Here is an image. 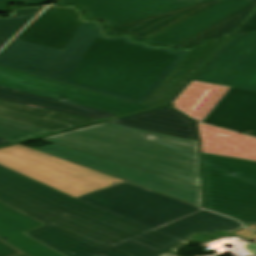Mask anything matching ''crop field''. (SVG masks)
<instances>
[{
    "label": "crop field",
    "instance_id": "obj_5",
    "mask_svg": "<svg viewBox=\"0 0 256 256\" xmlns=\"http://www.w3.org/2000/svg\"><path fill=\"white\" fill-rule=\"evenodd\" d=\"M0 164L74 198L123 182L20 144L0 149Z\"/></svg>",
    "mask_w": 256,
    "mask_h": 256
},
{
    "label": "crop field",
    "instance_id": "obj_15",
    "mask_svg": "<svg viewBox=\"0 0 256 256\" xmlns=\"http://www.w3.org/2000/svg\"><path fill=\"white\" fill-rule=\"evenodd\" d=\"M63 52L13 40L0 52V65L47 78Z\"/></svg>",
    "mask_w": 256,
    "mask_h": 256
},
{
    "label": "crop field",
    "instance_id": "obj_35",
    "mask_svg": "<svg viewBox=\"0 0 256 256\" xmlns=\"http://www.w3.org/2000/svg\"><path fill=\"white\" fill-rule=\"evenodd\" d=\"M244 134H248V135H251V136H255V137H256V133H244Z\"/></svg>",
    "mask_w": 256,
    "mask_h": 256
},
{
    "label": "crop field",
    "instance_id": "obj_1",
    "mask_svg": "<svg viewBox=\"0 0 256 256\" xmlns=\"http://www.w3.org/2000/svg\"><path fill=\"white\" fill-rule=\"evenodd\" d=\"M0 201L47 224L26 234L65 256H89L151 230L1 165ZM185 244L153 230L92 256H172Z\"/></svg>",
    "mask_w": 256,
    "mask_h": 256
},
{
    "label": "crop field",
    "instance_id": "obj_6",
    "mask_svg": "<svg viewBox=\"0 0 256 256\" xmlns=\"http://www.w3.org/2000/svg\"><path fill=\"white\" fill-rule=\"evenodd\" d=\"M77 199L151 229L201 210L128 183Z\"/></svg>",
    "mask_w": 256,
    "mask_h": 256
},
{
    "label": "crop field",
    "instance_id": "obj_11",
    "mask_svg": "<svg viewBox=\"0 0 256 256\" xmlns=\"http://www.w3.org/2000/svg\"><path fill=\"white\" fill-rule=\"evenodd\" d=\"M82 23L73 8L50 6L15 39L65 50Z\"/></svg>",
    "mask_w": 256,
    "mask_h": 256
},
{
    "label": "crop field",
    "instance_id": "obj_4",
    "mask_svg": "<svg viewBox=\"0 0 256 256\" xmlns=\"http://www.w3.org/2000/svg\"><path fill=\"white\" fill-rule=\"evenodd\" d=\"M202 176L206 209L256 225V162L202 153Z\"/></svg>",
    "mask_w": 256,
    "mask_h": 256
},
{
    "label": "crop field",
    "instance_id": "obj_21",
    "mask_svg": "<svg viewBox=\"0 0 256 256\" xmlns=\"http://www.w3.org/2000/svg\"><path fill=\"white\" fill-rule=\"evenodd\" d=\"M228 89L193 81L174 102V106L195 120L202 121Z\"/></svg>",
    "mask_w": 256,
    "mask_h": 256
},
{
    "label": "crop field",
    "instance_id": "obj_36",
    "mask_svg": "<svg viewBox=\"0 0 256 256\" xmlns=\"http://www.w3.org/2000/svg\"><path fill=\"white\" fill-rule=\"evenodd\" d=\"M248 227H249V226H248ZM249 228H251V229H253V230L256 231V226H251V227H249Z\"/></svg>",
    "mask_w": 256,
    "mask_h": 256
},
{
    "label": "crop field",
    "instance_id": "obj_10",
    "mask_svg": "<svg viewBox=\"0 0 256 256\" xmlns=\"http://www.w3.org/2000/svg\"><path fill=\"white\" fill-rule=\"evenodd\" d=\"M203 1L172 3L167 0H58L59 5L76 4L87 13L86 19L104 20L107 27L137 18Z\"/></svg>",
    "mask_w": 256,
    "mask_h": 256
},
{
    "label": "crop field",
    "instance_id": "obj_14",
    "mask_svg": "<svg viewBox=\"0 0 256 256\" xmlns=\"http://www.w3.org/2000/svg\"><path fill=\"white\" fill-rule=\"evenodd\" d=\"M207 1L157 15L137 19L108 29V35L131 34L135 40L147 39L199 14L200 12L222 2Z\"/></svg>",
    "mask_w": 256,
    "mask_h": 256
},
{
    "label": "crop field",
    "instance_id": "obj_27",
    "mask_svg": "<svg viewBox=\"0 0 256 256\" xmlns=\"http://www.w3.org/2000/svg\"><path fill=\"white\" fill-rule=\"evenodd\" d=\"M47 119L56 121V122H60V123H64V124H68V125H72V126H76V127L99 121V120H94V119H89V118H84V117H78V116L58 113V112H55Z\"/></svg>",
    "mask_w": 256,
    "mask_h": 256
},
{
    "label": "crop field",
    "instance_id": "obj_12",
    "mask_svg": "<svg viewBox=\"0 0 256 256\" xmlns=\"http://www.w3.org/2000/svg\"><path fill=\"white\" fill-rule=\"evenodd\" d=\"M203 122L240 133L256 131V92L230 88Z\"/></svg>",
    "mask_w": 256,
    "mask_h": 256
},
{
    "label": "crop field",
    "instance_id": "obj_33",
    "mask_svg": "<svg viewBox=\"0 0 256 256\" xmlns=\"http://www.w3.org/2000/svg\"><path fill=\"white\" fill-rule=\"evenodd\" d=\"M9 143H13V142L8 141V140H5V139H3V138H0V146H1V145H5V144H9Z\"/></svg>",
    "mask_w": 256,
    "mask_h": 256
},
{
    "label": "crop field",
    "instance_id": "obj_9",
    "mask_svg": "<svg viewBox=\"0 0 256 256\" xmlns=\"http://www.w3.org/2000/svg\"><path fill=\"white\" fill-rule=\"evenodd\" d=\"M0 86L113 112L121 115L149 109L0 67Z\"/></svg>",
    "mask_w": 256,
    "mask_h": 256
},
{
    "label": "crop field",
    "instance_id": "obj_7",
    "mask_svg": "<svg viewBox=\"0 0 256 256\" xmlns=\"http://www.w3.org/2000/svg\"><path fill=\"white\" fill-rule=\"evenodd\" d=\"M37 150L82 164L100 172L116 176L147 189L201 206V188L171 180L160 175L70 149L60 145H50Z\"/></svg>",
    "mask_w": 256,
    "mask_h": 256
},
{
    "label": "crop field",
    "instance_id": "obj_18",
    "mask_svg": "<svg viewBox=\"0 0 256 256\" xmlns=\"http://www.w3.org/2000/svg\"><path fill=\"white\" fill-rule=\"evenodd\" d=\"M205 153L256 161V138L198 122Z\"/></svg>",
    "mask_w": 256,
    "mask_h": 256
},
{
    "label": "crop field",
    "instance_id": "obj_22",
    "mask_svg": "<svg viewBox=\"0 0 256 256\" xmlns=\"http://www.w3.org/2000/svg\"><path fill=\"white\" fill-rule=\"evenodd\" d=\"M0 100L15 102L19 104L39 107L43 109L79 115L99 120H104L121 115L99 111L76 104L24 93L4 87H0Z\"/></svg>",
    "mask_w": 256,
    "mask_h": 256
},
{
    "label": "crop field",
    "instance_id": "obj_17",
    "mask_svg": "<svg viewBox=\"0 0 256 256\" xmlns=\"http://www.w3.org/2000/svg\"><path fill=\"white\" fill-rule=\"evenodd\" d=\"M110 122L198 141L194 120L171 107Z\"/></svg>",
    "mask_w": 256,
    "mask_h": 256
},
{
    "label": "crop field",
    "instance_id": "obj_20",
    "mask_svg": "<svg viewBox=\"0 0 256 256\" xmlns=\"http://www.w3.org/2000/svg\"><path fill=\"white\" fill-rule=\"evenodd\" d=\"M240 228L241 224L235 220L202 210L156 230L188 243L189 236L195 232L213 234L220 230L234 232Z\"/></svg>",
    "mask_w": 256,
    "mask_h": 256
},
{
    "label": "crop field",
    "instance_id": "obj_29",
    "mask_svg": "<svg viewBox=\"0 0 256 256\" xmlns=\"http://www.w3.org/2000/svg\"><path fill=\"white\" fill-rule=\"evenodd\" d=\"M251 30H256V14L236 35L247 33Z\"/></svg>",
    "mask_w": 256,
    "mask_h": 256
},
{
    "label": "crop field",
    "instance_id": "obj_28",
    "mask_svg": "<svg viewBox=\"0 0 256 256\" xmlns=\"http://www.w3.org/2000/svg\"><path fill=\"white\" fill-rule=\"evenodd\" d=\"M21 253L14 247L0 240V256H13L15 254Z\"/></svg>",
    "mask_w": 256,
    "mask_h": 256
},
{
    "label": "crop field",
    "instance_id": "obj_13",
    "mask_svg": "<svg viewBox=\"0 0 256 256\" xmlns=\"http://www.w3.org/2000/svg\"><path fill=\"white\" fill-rule=\"evenodd\" d=\"M45 224L0 202V239L28 256H64L24 233Z\"/></svg>",
    "mask_w": 256,
    "mask_h": 256
},
{
    "label": "crop field",
    "instance_id": "obj_25",
    "mask_svg": "<svg viewBox=\"0 0 256 256\" xmlns=\"http://www.w3.org/2000/svg\"><path fill=\"white\" fill-rule=\"evenodd\" d=\"M45 6L11 7L7 18L0 17V49L23 29Z\"/></svg>",
    "mask_w": 256,
    "mask_h": 256
},
{
    "label": "crop field",
    "instance_id": "obj_23",
    "mask_svg": "<svg viewBox=\"0 0 256 256\" xmlns=\"http://www.w3.org/2000/svg\"><path fill=\"white\" fill-rule=\"evenodd\" d=\"M53 111L0 101V117L49 132H60L75 127L45 120Z\"/></svg>",
    "mask_w": 256,
    "mask_h": 256
},
{
    "label": "crop field",
    "instance_id": "obj_19",
    "mask_svg": "<svg viewBox=\"0 0 256 256\" xmlns=\"http://www.w3.org/2000/svg\"><path fill=\"white\" fill-rule=\"evenodd\" d=\"M251 4L252 0H227L148 40V42L172 46Z\"/></svg>",
    "mask_w": 256,
    "mask_h": 256
},
{
    "label": "crop field",
    "instance_id": "obj_8",
    "mask_svg": "<svg viewBox=\"0 0 256 256\" xmlns=\"http://www.w3.org/2000/svg\"><path fill=\"white\" fill-rule=\"evenodd\" d=\"M195 80L256 91V32L234 37Z\"/></svg>",
    "mask_w": 256,
    "mask_h": 256
},
{
    "label": "crop field",
    "instance_id": "obj_32",
    "mask_svg": "<svg viewBox=\"0 0 256 256\" xmlns=\"http://www.w3.org/2000/svg\"><path fill=\"white\" fill-rule=\"evenodd\" d=\"M246 249L250 250L252 253H254V255L256 254V244H249L247 246H245Z\"/></svg>",
    "mask_w": 256,
    "mask_h": 256
},
{
    "label": "crop field",
    "instance_id": "obj_26",
    "mask_svg": "<svg viewBox=\"0 0 256 256\" xmlns=\"http://www.w3.org/2000/svg\"><path fill=\"white\" fill-rule=\"evenodd\" d=\"M48 134L52 133L0 118V137L5 139L18 142Z\"/></svg>",
    "mask_w": 256,
    "mask_h": 256
},
{
    "label": "crop field",
    "instance_id": "obj_34",
    "mask_svg": "<svg viewBox=\"0 0 256 256\" xmlns=\"http://www.w3.org/2000/svg\"><path fill=\"white\" fill-rule=\"evenodd\" d=\"M169 1H172V2H181V1H193V0H169Z\"/></svg>",
    "mask_w": 256,
    "mask_h": 256
},
{
    "label": "crop field",
    "instance_id": "obj_16",
    "mask_svg": "<svg viewBox=\"0 0 256 256\" xmlns=\"http://www.w3.org/2000/svg\"><path fill=\"white\" fill-rule=\"evenodd\" d=\"M228 36L209 40L202 47L192 49L147 102L145 101L144 106L155 108L167 104Z\"/></svg>",
    "mask_w": 256,
    "mask_h": 256
},
{
    "label": "crop field",
    "instance_id": "obj_24",
    "mask_svg": "<svg viewBox=\"0 0 256 256\" xmlns=\"http://www.w3.org/2000/svg\"><path fill=\"white\" fill-rule=\"evenodd\" d=\"M256 7V0L253 4L236 14L202 30L201 32L187 38L186 40L172 46L176 50L186 47H196L203 43L207 38H220L224 34H231L236 27L248 16V14Z\"/></svg>",
    "mask_w": 256,
    "mask_h": 256
},
{
    "label": "crop field",
    "instance_id": "obj_2",
    "mask_svg": "<svg viewBox=\"0 0 256 256\" xmlns=\"http://www.w3.org/2000/svg\"><path fill=\"white\" fill-rule=\"evenodd\" d=\"M190 50L108 38L99 22L85 21L48 79L143 105Z\"/></svg>",
    "mask_w": 256,
    "mask_h": 256
},
{
    "label": "crop field",
    "instance_id": "obj_31",
    "mask_svg": "<svg viewBox=\"0 0 256 256\" xmlns=\"http://www.w3.org/2000/svg\"><path fill=\"white\" fill-rule=\"evenodd\" d=\"M11 1H18V2H24V3H40L48 0H0V11L3 12L6 3Z\"/></svg>",
    "mask_w": 256,
    "mask_h": 256
},
{
    "label": "crop field",
    "instance_id": "obj_3",
    "mask_svg": "<svg viewBox=\"0 0 256 256\" xmlns=\"http://www.w3.org/2000/svg\"><path fill=\"white\" fill-rule=\"evenodd\" d=\"M42 140L201 187L196 141L109 123Z\"/></svg>",
    "mask_w": 256,
    "mask_h": 256
},
{
    "label": "crop field",
    "instance_id": "obj_30",
    "mask_svg": "<svg viewBox=\"0 0 256 256\" xmlns=\"http://www.w3.org/2000/svg\"><path fill=\"white\" fill-rule=\"evenodd\" d=\"M235 235L242 237L250 242H253L256 240V234L250 230H243L237 233H234Z\"/></svg>",
    "mask_w": 256,
    "mask_h": 256
},
{
    "label": "crop field",
    "instance_id": "obj_37",
    "mask_svg": "<svg viewBox=\"0 0 256 256\" xmlns=\"http://www.w3.org/2000/svg\"><path fill=\"white\" fill-rule=\"evenodd\" d=\"M16 256H26L25 254L21 253V254H18Z\"/></svg>",
    "mask_w": 256,
    "mask_h": 256
}]
</instances>
